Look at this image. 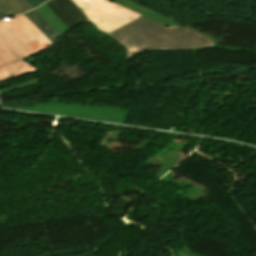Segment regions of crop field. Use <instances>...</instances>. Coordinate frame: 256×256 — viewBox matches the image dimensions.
<instances>
[{
	"instance_id": "crop-field-16",
	"label": "crop field",
	"mask_w": 256,
	"mask_h": 256,
	"mask_svg": "<svg viewBox=\"0 0 256 256\" xmlns=\"http://www.w3.org/2000/svg\"><path fill=\"white\" fill-rule=\"evenodd\" d=\"M5 18V16L0 12V20Z\"/></svg>"
},
{
	"instance_id": "crop-field-14",
	"label": "crop field",
	"mask_w": 256,
	"mask_h": 256,
	"mask_svg": "<svg viewBox=\"0 0 256 256\" xmlns=\"http://www.w3.org/2000/svg\"><path fill=\"white\" fill-rule=\"evenodd\" d=\"M180 251H182V252H183L184 254H186L187 256H199V255L193 253L192 251H190V250H188V249H186V248H182V249H180Z\"/></svg>"
},
{
	"instance_id": "crop-field-4",
	"label": "crop field",
	"mask_w": 256,
	"mask_h": 256,
	"mask_svg": "<svg viewBox=\"0 0 256 256\" xmlns=\"http://www.w3.org/2000/svg\"><path fill=\"white\" fill-rule=\"evenodd\" d=\"M17 109L120 124L124 123L129 112L127 109L97 107L70 103H36L27 108L19 107Z\"/></svg>"
},
{
	"instance_id": "crop-field-17",
	"label": "crop field",
	"mask_w": 256,
	"mask_h": 256,
	"mask_svg": "<svg viewBox=\"0 0 256 256\" xmlns=\"http://www.w3.org/2000/svg\"><path fill=\"white\" fill-rule=\"evenodd\" d=\"M0 106H1V104H0Z\"/></svg>"
},
{
	"instance_id": "crop-field-7",
	"label": "crop field",
	"mask_w": 256,
	"mask_h": 256,
	"mask_svg": "<svg viewBox=\"0 0 256 256\" xmlns=\"http://www.w3.org/2000/svg\"><path fill=\"white\" fill-rule=\"evenodd\" d=\"M39 71L32 65L21 60L3 67H0V82L13 79L19 76L31 74Z\"/></svg>"
},
{
	"instance_id": "crop-field-9",
	"label": "crop field",
	"mask_w": 256,
	"mask_h": 256,
	"mask_svg": "<svg viewBox=\"0 0 256 256\" xmlns=\"http://www.w3.org/2000/svg\"><path fill=\"white\" fill-rule=\"evenodd\" d=\"M36 10L62 35L69 31V29L57 18V16L45 4Z\"/></svg>"
},
{
	"instance_id": "crop-field-10",
	"label": "crop field",
	"mask_w": 256,
	"mask_h": 256,
	"mask_svg": "<svg viewBox=\"0 0 256 256\" xmlns=\"http://www.w3.org/2000/svg\"><path fill=\"white\" fill-rule=\"evenodd\" d=\"M0 11L6 16L26 12L15 0H0Z\"/></svg>"
},
{
	"instance_id": "crop-field-3",
	"label": "crop field",
	"mask_w": 256,
	"mask_h": 256,
	"mask_svg": "<svg viewBox=\"0 0 256 256\" xmlns=\"http://www.w3.org/2000/svg\"><path fill=\"white\" fill-rule=\"evenodd\" d=\"M103 34L133 21L140 14L107 0H73Z\"/></svg>"
},
{
	"instance_id": "crop-field-12",
	"label": "crop field",
	"mask_w": 256,
	"mask_h": 256,
	"mask_svg": "<svg viewBox=\"0 0 256 256\" xmlns=\"http://www.w3.org/2000/svg\"><path fill=\"white\" fill-rule=\"evenodd\" d=\"M21 6H23L27 11L33 9V7L26 0H16ZM22 7V8H23ZM23 8V9H24Z\"/></svg>"
},
{
	"instance_id": "crop-field-15",
	"label": "crop field",
	"mask_w": 256,
	"mask_h": 256,
	"mask_svg": "<svg viewBox=\"0 0 256 256\" xmlns=\"http://www.w3.org/2000/svg\"><path fill=\"white\" fill-rule=\"evenodd\" d=\"M175 255L176 256H186L182 252H180L179 250L175 251Z\"/></svg>"
},
{
	"instance_id": "crop-field-1",
	"label": "crop field",
	"mask_w": 256,
	"mask_h": 256,
	"mask_svg": "<svg viewBox=\"0 0 256 256\" xmlns=\"http://www.w3.org/2000/svg\"><path fill=\"white\" fill-rule=\"evenodd\" d=\"M107 36L126 50V58L150 50H189L217 46L185 27H166L142 15Z\"/></svg>"
},
{
	"instance_id": "crop-field-8",
	"label": "crop field",
	"mask_w": 256,
	"mask_h": 256,
	"mask_svg": "<svg viewBox=\"0 0 256 256\" xmlns=\"http://www.w3.org/2000/svg\"><path fill=\"white\" fill-rule=\"evenodd\" d=\"M53 44L61 36L36 10L24 14Z\"/></svg>"
},
{
	"instance_id": "crop-field-2",
	"label": "crop field",
	"mask_w": 256,
	"mask_h": 256,
	"mask_svg": "<svg viewBox=\"0 0 256 256\" xmlns=\"http://www.w3.org/2000/svg\"><path fill=\"white\" fill-rule=\"evenodd\" d=\"M52 45L23 14L0 21V66L44 51Z\"/></svg>"
},
{
	"instance_id": "crop-field-13",
	"label": "crop field",
	"mask_w": 256,
	"mask_h": 256,
	"mask_svg": "<svg viewBox=\"0 0 256 256\" xmlns=\"http://www.w3.org/2000/svg\"><path fill=\"white\" fill-rule=\"evenodd\" d=\"M34 8L38 7L41 5L43 2L46 0H27Z\"/></svg>"
},
{
	"instance_id": "crop-field-5",
	"label": "crop field",
	"mask_w": 256,
	"mask_h": 256,
	"mask_svg": "<svg viewBox=\"0 0 256 256\" xmlns=\"http://www.w3.org/2000/svg\"><path fill=\"white\" fill-rule=\"evenodd\" d=\"M45 4L69 29L88 21L87 17L70 0H50Z\"/></svg>"
},
{
	"instance_id": "crop-field-11",
	"label": "crop field",
	"mask_w": 256,
	"mask_h": 256,
	"mask_svg": "<svg viewBox=\"0 0 256 256\" xmlns=\"http://www.w3.org/2000/svg\"><path fill=\"white\" fill-rule=\"evenodd\" d=\"M38 82H41L39 77L31 79V80H28V81H25V82H22L20 84H17V85L8 87V88H5V89H2V90H0V94L7 93L9 91H12V90H15V89H19V88L25 87L27 85L35 84V83H38Z\"/></svg>"
},
{
	"instance_id": "crop-field-6",
	"label": "crop field",
	"mask_w": 256,
	"mask_h": 256,
	"mask_svg": "<svg viewBox=\"0 0 256 256\" xmlns=\"http://www.w3.org/2000/svg\"><path fill=\"white\" fill-rule=\"evenodd\" d=\"M111 2H115L119 5H122L126 8H129L133 11H136L150 19L156 20L158 22H161L167 26H182L183 24L180 22H177L173 19H170L148 7H145L137 2L131 1V0H109Z\"/></svg>"
}]
</instances>
